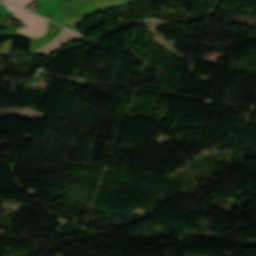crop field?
Masks as SVG:
<instances>
[{
	"label": "crop field",
	"instance_id": "1",
	"mask_svg": "<svg viewBox=\"0 0 256 256\" xmlns=\"http://www.w3.org/2000/svg\"><path fill=\"white\" fill-rule=\"evenodd\" d=\"M4 6L8 8V10L16 16L18 19H20L22 22L26 24L27 27L17 29V31L26 34L28 36H31L33 38H39L42 37L45 33L46 26H47V20L28 13L8 2H2Z\"/></svg>",
	"mask_w": 256,
	"mask_h": 256
},
{
	"label": "crop field",
	"instance_id": "2",
	"mask_svg": "<svg viewBox=\"0 0 256 256\" xmlns=\"http://www.w3.org/2000/svg\"><path fill=\"white\" fill-rule=\"evenodd\" d=\"M78 38L82 37L64 28L63 31L54 40H52L50 43L46 44L45 46L36 50L33 53L48 55L49 53L55 51L59 46L76 40Z\"/></svg>",
	"mask_w": 256,
	"mask_h": 256
},
{
	"label": "crop field",
	"instance_id": "3",
	"mask_svg": "<svg viewBox=\"0 0 256 256\" xmlns=\"http://www.w3.org/2000/svg\"><path fill=\"white\" fill-rule=\"evenodd\" d=\"M21 7H23L24 5L28 4L29 2H31L32 0H9Z\"/></svg>",
	"mask_w": 256,
	"mask_h": 256
},
{
	"label": "crop field",
	"instance_id": "4",
	"mask_svg": "<svg viewBox=\"0 0 256 256\" xmlns=\"http://www.w3.org/2000/svg\"><path fill=\"white\" fill-rule=\"evenodd\" d=\"M10 13L8 12V10H6L3 5L0 3V17L1 18H4V17H7L9 16Z\"/></svg>",
	"mask_w": 256,
	"mask_h": 256
},
{
	"label": "crop field",
	"instance_id": "5",
	"mask_svg": "<svg viewBox=\"0 0 256 256\" xmlns=\"http://www.w3.org/2000/svg\"><path fill=\"white\" fill-rule=\"evenodd\" d=\"M0 1H2V0H0Z\"/></svg>",
	"mask_w": 256,
	"mask_h": 256
}]
</instances>
